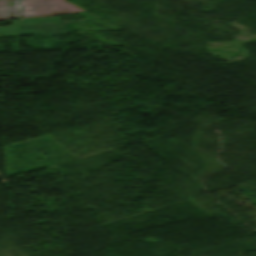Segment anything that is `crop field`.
<instances>
[{"label":"crop field","mask_w":256,"mask_h":256,"mask_svg":"<svg viewBox=\"0 0 256 256\" xmlns=\"http://www.w3.org/2000/svg\"><path fill=\"white\" fill-rule=\"evenodd\" d=\"M59 19L21 20L20 35L40 33H65ZM48 25H51L50 27Z\"/></svg>","instance_id":"obj_1"}]
</instances>
